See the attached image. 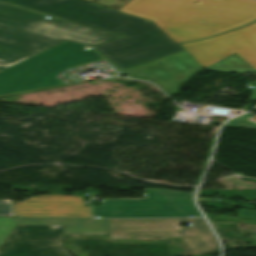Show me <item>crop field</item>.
<instances>
[{
  "instance_id": "1",
  "label": "crop field",
  "mask_w": 256,
  "mask_h": 256,
  "mask_svg": "<svg viewBox=\"0 0 256 256\" xmlns=\"http://www.w3.org/2000/svg\"><path fill=\"white\" fill-rule=\"evenodd\" d=\"M127 37L93 46L121 70L182 51L153 22L79 0H1Z\"/></svg>"
},
{
  "instance_id": "2",
  "label": "crop field",
  "mask_w": 256,
  "mask_h": 256,
  "mask_svg": "<svg viewBox=\"0 0 256 256\" xmlns=\"http://www.w3.org/2000/svg\"><path fill=\"white\" fill-rule=\"evenodd\" d=\"M132 0L119 11L152 20L176 43L256 20L254 0Z\"/></svg>"
},
{
  "instance_id": "3",
  "label": "crop field",
  "mask_w": 256,
  "mask_h": 256,
  "mask_svg": "<svg viewBox=\"0 0 256 256\" xmlns=\"http://www.w3.org/2000/svg\"><path fill=\"white\" fill-rule=\"evenodd\" d=\"M15 220L17 224L66 225L64 234H109L110 239L180 238L193 253L219 251L203 218ZM180 223H192V227H180Z\"/></svg>"
},
{
  "instance_id": "4",
  "label": "crop field",
  "mask_w": 256,
  "mask_h": 256,
  "mask_svg": "<svg viewBox=\"0 0 256 256\" xmlns=\"http://www.w3.org/2000/svg\"><path fill=\"white\" fill-rule=\"evenodd\" d=\"M0 3V38L47 50L65 40L93 46L123 36Z\"/></svg>"
},
{
  "instance_id": "5",
  "label": "crop field",
  "mask_w": 256,
  "mask_h": 256,
  "mask_svg": "<svg viewBox=\"0 0 256 256\" xmlns=\"http://www.w3.org/2000/svg\"><path fill=\"white\" fill-rule=\"evenodd\" d=\"M144 193V199H102V206H92L94 217H200L191 193L156 188Z\"/></svg>"
},
{
  "instance_id": "6",
  "label": "crop field",
  "mask_w": 256,
  "mask_h": 256,
  "mask_svg": "<svg viewBox=\"0 0 256 256\" xmlns=\"http://www.w3.org/2000/svg\"><path fill=\"white\" fill-rule=\"evenodd\" d=\"M180 45L204 68L236 52L256 69V22L217 37Z\"/></svg>"
},
{
  "instance_id": "7",
  "label": "crop field",
  "mask_w": 256,
  "mask_h": 256,
  "mask_svg": "<svg viewBox=\"0 0 256 256\" xmlns=\"http://www.w3.org/2000/svg\"><path fill=\"white\" fill-rule=\"evenodd\" d=\"M201 69L203 67L185 51L124 72L133 78L152 80L165 93L173 96L180 93L179 84Z\"/></svg>"
},
{
  "instance_id": "8",
  "label": "crop field",
  "mask_w": 256,
  "mask_h": 256,
  "mask_svg": "<svg viewBox=\"0 0 256 256\" xmlns=\"http://www.w3.org/2000/svg\"><path fill=\"white\" fill-rule=\"evenodd\" d=\"M61 71L49 73L35 56L28 58L0 72V98L67 86L54 78Z\"/></svg>"
},
{
  "instance_id": "9",
  "label": "crop field",
  "mask_w": 256,
  "mask_h": 256,
  "mask_svg": "<svg viewBox=\"0 0 256 256\" xmlns=\"http://www.w3.org/2000/svg\"><path fill=\"white\" fill-rule=\"evenodd\" d=\"M65 226L16 225L0 247L9 256L61 245Z\"/></svg>"
},
{
  "instance_id": "10",
  "label": "crop field",
  "mask_w": 256,
  "mask_h": 256,
  "mask_svg": "<svg viewBox=\"0 0 256 256\" xmlns=\"http://www.w3.org/2000/svg\"><path fill=\"white\" fill-rule=\"evenodd\" d=\"M12 205L15 216L91 217L82 197L45 195Z\"/></svg>"
},
{
  "instance_id": "11",
  "label": "crop field",
  "mask_w": 256,
  "mask_h": 256,
  "mask_svg": "<svg viewBox=\"0 0 256 256\" xmlns=\"http://www.w3.org/2000/svg\"><path fill=\"white\" fill-rule=\"evenodd\" d=\"M84 45L66 41L36 57L49 72L103 59L96 51L84 50Z\"/></svg>"
},
{
  "instance_id": "12",
  "label": "crop field",
  "mask_w": 256,
  "mask_h": 256,
  "mask_svg": "<svg viewBox=\"0 0 256 256\" xmlns=\"http://www.w3.org/2000/svg\"><path fill=\"white\" fill-rule=\"evenodd\" d=\"M42 51L44 50L0 39V70Z\"/></svg>"
},
{
  "instance_id": "13",
  "label": "crop field",
  "mask_w": 256,
  "mask_h": 256,
  "mask_svg": "<svg viewBox=\"0 0 256 256\" xmlns=\"http://www.w3.org/2000/svg\"><path fill=\"white\" fill-rule=\"evenodd\" d=\"M206 69L226 72V73H229V72L247 73V72L256 71L236 53Z\"/></svg>"
},
{
  "instance_id": "14",
  "label": "crop field",
  "mask_w": 256,
  "mask_h": 256,
  "mask_svg": "<svg viewBox=\"0 0 256 256\" xmlns=\"http://www.w3.org/2000/svg\"><path fill=\"white\" fill-rule=\"evenodd\" d=\"M15 256H70V254L62 246H57Z\"/></svg>"
},
{
  "instance_id": "15",
  "label": "crop field",
  "mask_w": 256,
  "mask_h": 256,
  "mask_svg": "<svg viewBox=\"0 0 256 256\" xmlns=\"http://www.w3.org/2000/svg\"><path fill=\"white\" fill-rule=\"evenodd\" d=\"M16 225L14 218H0V245Z\"/></svg>"
},
{
  "instance_id": "16",
  "label": "crop field",
  "mask_w": 256,
  "mask_h": 256,
  "mask_svg": "<svg viewBox=\"0 0 256 256\" xmlns=\"http://www.w3.org/2000/svg\"><path fill=\"white\" fill-rule=\"evenodd\" d=\"M86 1L98 3L109 8L119 10L125 4H127L130 0H86Z\"/></svg>"
},
{
  "instance_id": "17",
  "label": "crop field",
  "mask_w": 256,
  "mask_h": 256,
  "mask_svg": "<svg viewBox=\"0 0 256 256\" xmlns=\"http://www.w3.org/2000/svg\"><path fill=\"white\" fill-rule=\"evenodd\" d=\"M0 216H14L11 200H0Z\"/></svg>"
},
{
  "instance_id": "18",
  "label": "crop field",
  "mask_w": 256,
  "mask_h": 256,
  "mask_svg": "<svg viewBox=\"0 0 256 256\" xmlns=\"http://www.w3.org/2000/svg\"><path fill=\"white\" fill-rule=\"evenodd\" d=\"M238 218L256 220V211L238 209Z\"/></svg>"
},
{
  "instance_id": "19",
  "label": "crop field",
  "mask_w": 256,
  "mask_h": 256,
  "mask_svg": "<svg viewBox=\"0 0 256 256\" xmlns=\"http://www.w3.org/2000/svg\"><path fill=\"white\" fill-rule=\"evenodd\" d=\"M251 93H252V95L249 96L250 100L251 101H256V87L251 91Z\"/></svg>"
}]
</instances>
